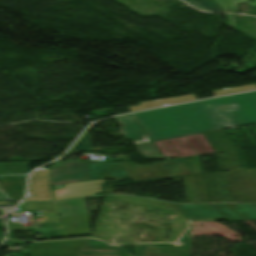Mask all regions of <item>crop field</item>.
Returning <instances> with one entry per match:
<instances>
[{
  "instance_id": "20",
  "label": "crop field",
  "mask_w": 256,
  "mask_h": 256,
  "mask_svg": "<svg viewBox=\"0 0 256 256\" xmlns=\"http://www.w3.org/2000/svg\"><path fill=\"white\" fill-rule=\"evenodd\" d=\"M7 200L4 194L0 193V201Z\"/></svg>"
},
{
  "instance_id": "2",
  "label": "crop field",
  "mask_w": 256,
  "mask_h": 256,
  "mask_svg": "<svg viewBox=\"0 0 256 256\" xmlns=\"http://www.w3.org/2000/svg\"><path fill=\"white\" fill-rule=\"evenodd\" d=\"M164 157L214 153L203 134L154 142Z\"/></svg>"
},
{
  "instance_id": "7",
  "label": "crop field",
  "mask_w": 256,
  "mask_h": 256,
  "mask_svg": "<svg viewBox=\"0 0 256 256\" xmlns=\"http://www.w3.org/2000/svg\"><path fill=\"white\" fill-rule=\"evenodd\" d=\"M216 152L234 151L236 148L224 130L205 133Z\"/></svg>"
},
{
  "instance_id": "6",
  "label": "crop field",
  "mask_w": 256,
  "mask_h": 256,
  "mask_svg": "<svg viewBox=\"0 0 256 256\" xmlns=\"http://www.w3.org/2000/svg\"><path fill=\"white\" fill-rule=\"evenodd\" d=\"M170 177L202 173L199 157L166 161Z\"/></svg>"
},
{
  "instance_id": "11",
  "label": "crop field",
  "mask_w": 256,
  "mask_h": 256,
  "mask_svg": "<svg viewBox=\"0 0 256 256\" xmlns=\"http://www.w3.org/2000/svg\"><path fill=\"white\" fill-rule=\"evenodd\" d=\"M93 150L88 130L82 135L78 142L71 148L67 154L85 152ZM66 154V155H67Z\"/></svg>"
},
{
  "instance_id": "10",
  "label": "crop field",
  "mask_w": 256,
  "mask_h": 256,
  "mask_svg": "<svg viewBox=\"0 0 256 256\" xmlns=\"http://www.w3.org/2000/svg\"><path fill=\"white\" fill-rule=\"evenodd\" d=\"M245 220H256V204H227Z\"/></svg>"
},
{
  "instance_id": "8",
  "label": "crop field",
  "mask_w": 256,
  "mask_h": 256,
  "mask_svg": "<svg viewBox=\"0 0 256 256\" xmlns=\"http://www.w3.org/2000/svg\"><path fill=\"white\" fill-rule=\"evenodd\" d=\"M83 199L55 202L60 216L87 214L84 208ZM22 203L18 208H22ZM71 208V210H69Z\"/></svg>"
},
{
  "instance_id": "14",
  "label": "crop field",
  "mask_w": 256,
  "mask_h": 256,
  "mask_svg": "<svg viewBox=\"0 0 256 256\" xmlns=\"http://www.w3.org/2000/svg\"><path fill=\"white\" fill-rule=\"evenodd\" d=\"M184 1L187 2V3L190 2L191 5L199 8V9H202V10L215 11V12H221L222 11L219 7H217L210 0H184Z\"/></svg>"
},
{
  "instance_id": "5",
  "label": "crop field",
  "mask_w": 256,
  "mask_h": 256,
  "mask_svg": "<svg viewBox=\"0 0 256 256\" xmlns=\"http://www.w3.org/2000/svg\"><path fill=\"white\" fill-rule=\"evenodd\" d=\"M50 169H38L30 175L28 195L25 201L52 200L48 177Z\"/></svg>"
},
{
  "instance_id": "12",
  "label": "crop field",
  "mask_w": 256,
  "mask_h": 256,
  "mask_svg": "<svg viewBox=\"0 0 256 256\" xmlns=\"http://www.w3.org/2000/svg\"><path fill=\"white\" fill-rule=\"evenodd\" d=\"M78 256H131L127 251L81 250Z\"/></svg>"
},
{
  "instance_id": "4",
  "label": "crop field",
  "mask_w": 256,
  "mask_h": 256,
  "mask_svg": "<svg viewBox=\"0 0 256 256\" xmlns=\"http://www.w3.org/2000/svg\"><path fill=\"white\" fill-rule=\"evenodd\" d=\"M194 220H244L226 204H190L182 205Z\"/></svg>"
},
{
  "instance_id": "19",
  "label": "crop field",
  "mask_w": 256,
  "mask_h": 256,
  "mask_svg": "<svg viewBox=\"0 0 256 256\" xmlns=\"http://www.w3.org/2000/svg\"><path fill=\"white\" fill-rule=\"evenodd\" d=\"M58 188H63V186L62 185L53 186V189H58ZM76 197H80V196H76ZM76 197H67V198H76ZM57 199H66V198H57ZM57 199H54V200H57Z\"/></svg>"
},
{
  "instance_id": "17",
  "label": "crop field",
  "mask_w": 256,
  "mask_h": 256,
  "mask_svg": "<svg viewBox=\"0 0 256 256\" xmlns=\"http://www.w3.org/2000/svg\"><path fill=\"white\" fill-rule=\"evenodd\" d=\"M254 89H256V85L244 86V87H238V88H232V89H226V90H219V91H212V92H213L214 96H219V95H223V94L248 91V90H254Z\"/></svg>"
},
{
  "instance_id": "15",
  "label": "crop field",
  "mask_w": 256,
  "mask_h": 256,
  "mask_svg": "<svg viewBox=\"0 0 256 256\" xmlns=\"http://www.w3.org/2000/svg\"><path fill=\"white\" fill-rule=\"evenodd\" d=\"M121 132L126 138H133L145 135L140 127L137 125V123L123 125Z\"/></svg>"
},
{
  "instance_id": "13",
  "label": "crop field",
  "mask_w": 256,
  "mask_h": 256,
  "mask_svg": "<svg viewBox=\"0 0 256 256\" xmlns=\"http://www.w3.org/2000/svg\"><path fill=\"white\" fill-rule=\"evenodd\" d=\"M138 151L146 158H162L163 156L157 152L155 146L150 143H142L135 145Z\"/></svg>"
},
{
  "instance_id": "9",
  "label": "crop field",
  "mask_w": 256,
  "mask_h": 256,
  "mask_svg": "<svg viewBox=\"0 0 256 256\" xmlns=\"http://www.w3.org/2000/svg\"><path fill=\"white\" fill-rule=\"evenodd\" d=\"M195 95H186V96H180L177 98H171V99H165V100H159V101H152V102H144L140 103V106H135V107H129L130 111H138L142 109H147V108H152L156 106H161V105H166V104H172V103H177V102H183V101H188V100H194Z\"/></svg>"
},
{
  "instance_id": "1",
  "label": "crop field",
  "mask_w": 256,
  "mask_h": 256,
  "mask_svg": "<svg viewBox=\"0 0 256 256\" xmlns=\"http://www.w3.org/2000/svg\"><path fill=\"white\" fill-rule=\"evenodd\" d=\"M235 103L240 111L214 113L204 104ZM151 140L256 123V92L134 113Z\"/></svg>"
},
{
  "instance_id": "16",
  "label": "crop field",
  "mask_w": 256,
  "mask_h": 256,
  "mask_svg": "<svg viewBox=\"0 0 256 256\" xmlns=\"http://www.w3.org/2000/svg\"><path fill=\"white\" fill-rule=\"evenodd\" d=\"M212 1H214L218 6H220L225 12H233L234 13L237 3L241 2V1H246V0H212ZM249 4L254 6V5H256V2L253 4H251V3H249Z\"/></svg>"
},
{
  "instance_id": "18",
  "label": "crop field",
  "mask_w": 256,
  "mask_h": 256,
  "mask_svg": "<svg viewBox=\"0 0 256 256\" xmlns=\"http://www.w3.org/2000/svg\"><path fill=\"white\" fill-rule=\"evenodd\" d=\"M227 17H228V25L229 26H235L232 15L227 14Z\"/></svg>"
},
{
  "instance_id": "3",
  "label": "crop field",
  "mask_w": 256,
  "mask_h": 256,
  "mask_svg": "<svg viewBox=\"0 0 256 256\" xmlns=\"http://www.w3.org/2000/svg\"><path fill=\"white\" fill-rule=\"evenodd\" d=\"M91 180L86 161L54 162L49 177V184L58 185Z\"/></svg>"
}]
</instances>
